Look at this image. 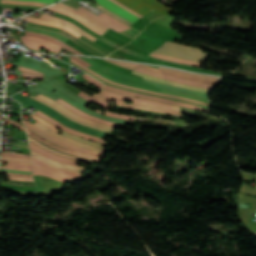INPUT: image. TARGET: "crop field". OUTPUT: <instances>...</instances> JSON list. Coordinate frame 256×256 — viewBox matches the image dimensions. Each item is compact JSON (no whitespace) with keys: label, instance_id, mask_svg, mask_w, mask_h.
<instances>
[{"label":"crop field","instance_id":"8a807250","mask_svg":"<svg viewBox=\"0 0 256 256\" xmlns=\"http://www.w3.org/2000/svg\"><path fill=\"white\" fill-rule=\"evenodd\" d=\"M12 98H14L16 100H19V101H22V102H25V103L33 106L34 108H36V109L40 110L41 112L53 117L54 119H56L60 123L72 128V129L79 130V131L85 132L87 134L102 137V138H105V136L108 134V133H105V132H101V131H98V130H95V129H92V128H89V127H85V126L76 124V123L68 120L67 118H65L61 114H59L57 111L39 103V102H37L33 99H30L27 96L16 94V95L12 96Z\"/></svg>","mask_w":256,"mask_h":256},{"label":"crop field","instance_id":"ac0d7876","mask_svg":"<svg viewBox=\"0 0 256 256\" xmlns=\"http://www.w3.org/2000/svg\"><path fill=\"white\" fill-rule=\"evenodd\" d=\"M154 53L168 55L172 57L204 62L209 56L208 53L190 47L180 46L166 41L161 47L153 51Z\"/></svg>","mask_w":256,"mask_h":256},{"label":"crop field","instance_id":"34b2d1b8","mask_svg":"<svg viewBox=\"0 0 256 256\" xmlns=\"http://www.w3.org/2000/svg\"><path fill=\"white\" fill-rule=\"evenodd\" d=\"M47 9H51V10L57 11L59 13L68 15V16L78 20L79 22H81L82 24H84L85 26H87L88 28L92 29L93 31H95L96 33H98L100 35L108 29V27H106V26L96 22L94 19L86 16L87 14L85 15L81 11L74 9L73 7L65 6L61 3H58V4L51 6Z\"/></svg>","mask_w":256,"mask_h":256},{"label":"crop field","instance_id":"412701ff","mask_svg":"<svg viewBox=\"0 0 256 256\" xmlns=\"http://www.w3.org/2000/svg\"><path fill=\"white\" fill-rule=\"evenodd\" d=\"M140 15H145L151 9L165 15L172 9L157 2L156 0H117Z\"/></svg>","mask_w":256,"mask_h":256},{"label":"crop field","instance_id":"f4fd0767","mask_svg":"<svg viewBox=\"0 0 256 256\" xmlns=\"http://www.w3.org/2000/svg\"><path fill=\"white\" fill-rule=\"evenodd\" d=\"M93 97H97V98H99L103 101L110 102V103L115 101V102H117L118 106L141 109V110H147V111H153V112H159V113H165V114H171V115L182 117L181 112L176 111V110L154 107V106H148V105L137 104V103L127 104V103H124L123 99H119V98L112 97V96H109V95H105V94H102V93H100L99 95L94 94Z\"/></svg>","mask_w":256,"mask_h":256},{"label":"crop field","instance_id":"dd49c442","mask_svg":"<svg viewBox=\"0 0 256 256\" xmlns=\"http://www.w3.org/2000/svg\"><path fill=\"white\" fill-rule=\"evenodd\" d=\"M78 9H80L82 12H84L85 14H87L88 16L94 18L95 20L101 22L102 24L110 27L111 29L121 33L127 29H129L130 27L114 20L113 18L105 15V14H100L99 16L93 14L92 12L88 11L87 9L83 8V7H79Z\"/></svg>","mask_w":256,"mask_h":256},{"label":"crop field","instance_id":"e52e79f7","mask_svg":"<svg viewBox=\"0 0 256 256\" xmlns=\"http://www.w3.org/2000/svg\"><path fill=\"white\" fill-rule=\"evenodd\" d=\"M23 120V119H22ZM24 122V125L31 128L32 130H34L36 133H38L39 135L43 136L44 138L58 144V145H62V146H65V147H68L70 149H73V150H76V151H80V152H84V153H88V154H92V155H96V156H102V154H99V153H95V152H92V151H89V150H86V149H82V148H79V147H76V146H73L71 144H68V143H65V142H62L52 136H50L49 134L45 133L44 131H42L41 129H39L38 127L34 126L33 124L23 120Z\"/></svg>","mask_w":256,"mask_h":256},{"label":"crop field","instance_id":"d8731c3e","mask_svg":"<svg viewBox=\"0 0 256 256\" xmlns=\"http://www.w3.org/2000/svg\"><path fill=\"white\" fill-rule=\"evenodd\" d=\"M104 88L109 89V90H113V91H116V92L124 93V94H127V95H131V96L142 97V98H146V99H151V100L160 101V102H164V103H168V104L183 106V107H187V108H191V109H195V110H200V111H205V112L208 111V110H205V109L200 108V107L195 106V105L183 104V103H179V102H175V101H169V100L155 98V97H151V96H147V95L137 94V93L117 89V88H114V87H111V86H108V85H105Z\"/></svg>","mask_w":256,"mask_h":256},{"label":"crop field","instance_id":"5a996713","mask_svg":"<svg viewBox=\"0 0 256 256\" xmlns=\"http://www.w3.org/2000/svg\"><path fill=\"white\" fill-rule=\"evenodd\" d=\"M94 1H96L98 4L104 6L105 8L109 9L113 13L117 14L118 16L132 23L136 22L139 19L109 0H94Z\"/></svg>","mask_w":256,"mask_h":256},{"label":"crop field","instance_id":"3316defc","mask_svg":"<svg viewBox=\"0 0 256 256\" xmlns=\"http://www.w3.org/2000/svg\"><path fill=\"white\" fill-rule=\"evenodd\" d=\"M36 97H38V98H40V99H42V100H44V101H46V102H48V103H50V104H52V105H54V106L60 108V109L63 110L65 113H67L68 115H70L71 117H73V118H75V119H78V120H80V121H83V122L92 124V125L97 126V127H100V128L108 129V130H111V131H112V129H113V127H110V126H107V125H104V124H100V123L91 121V120L86 119V118H83V117H81V116H79V115H77V114H75V113H72V112H70L71 110L69 111V110L66 109L64 106H62V105L56 103L55 101H53V100H51V99H49V98H47V97H45V96H43V95H41V94L37 95ZM63 111H62V112H63Z\"/></svg>","mask_w":256,"mask_h":256},{"label":"crop field","instance_id":"28ad6ade","mask_svg":"<svg viewBox=\"0 0 256 256\" xmlns=\"http://www.w3.org/2000/svg\"><path fill=\"white\" fill-rule=\"evenodd\" d=\"M26 131H27V134L48 144L49 146L55 148V149H58V150H61V151H64V152H67L69 154H72L74 156H78V157H82V158H86V159H90V160H96V161H99V159L97 157H93V156H90V155H86V154H83V153H80V152H76V151H73V150H70L68 148H65V147H62V146H58V145H55L49 141H47L46 139L42 138L41 136H39L38 134H36L34 131L26 128Z\"/></svg>","mask_w":256,"mask_h":256},{"label":"crop field","instance_id":"d1516ede","mask_svg":"<svg viewBox=\"0 0 256 256\" xmlns=\"http://www.w3.org/2000/svg\"><path fill=\"white\" fill-rule=\"evenodd\" d=\"M133 65L142 67V68L150 70V71L162 73V74H165V75H168V76H172V77H176V78H180V79H184V80H189V81H193V82L204 83V84H211V85H215L217 83L216 81H210V80H204V79H198V78H192V77H186V76L174 74V73L163 71V70H159V69L147 66V65H141V64H133Z\"/></svg>","mask_w":256,"mask_h":256},{"label":"crop field","instance_id":"22f410ed","mask_svg":"<svg viewBox=\"0 0 256 256\" xmlns=\"http://www.w3.org/2000/svg\"><path fill=\"white\" fill-rule=\"evenodd\" d=\"M34 114H36V115H38V116H40V117H42V118L48 120L49 122H51V123L54 124L55 126H57V127L61 128V129L65 130V131H67V132H69V133H71V134H73V135L80 136V137H84V138L91 139V140L98 141V142H101V143L105 144L104 141H103V139L97 138V137H93V136H90V135H87V134H84V133H80V132H77V131H74V130H71V129H69V128L63 126V125L60 124L59 122H57V121H55V120L49 118L48 116H46L45 114L41 113V112L38 111V110H37Z\"/></svg>","mask_w":256,"mask_h":256},{"label":"crop field","instance_id":"cbeb9de0","mask_svg":"<svg viewBox=\"0 0 256 256\" xmlns=\"http://www.w3.org/2000/svg\"><path fill=\"white\" fill-rule=\"evenodd\" d=\"M31 123L35 124L36 126H38L39 128H41L42 130L48 132L49 134L55 136L56 138L60 139V140H63V141H66L68 143H72L76 146H80V147H83V148H86V149H89V150H93V151H99L101 153H103L104 150H101V149H98V148H95V147H92L90 145H87V144H82V143H78L76 141H73L71 139H68V138H65L59 134H57L56 132L52 131L51 129H49L48 127L36 122V121H31Z\"/></svg>","mask_w":256,"mask_h":256},{"label":"crop field","instance_id":"5142ce71","mask_svg":"<svg viewBox=\"0 0 256 256\" xmlns=\"http://www.w3.org/2000/svg\"><path fill=\"white\" fill-rule=\"evenodd\" d=\"M30 149L49 158V159H52V160H55V161H59V162H62V163H65V164H68V165H72V166H76V167H81V166H78L76 165V161H73V160H70V159H67V158H64V157H60V156H56V155H53L43 149H41L40 147L30 143ZM82 168H85V167H82Z\"/></svg>","mask_w":256,"mask_h":256},{"label":"crop field","instance_id":"d9b57169","mask_svg":"<svg viewBox=\"0 0 256 256\" xmlns=\"http://www.w3.org/2000/svg\"><path fill=\"white\" fill-rule=\"evenodd\" d=\"M135 71L144 73V74H148V75H152L155 77H159L162 79H166V80H170V81H174V82H178V83H183V84H189V85H194V86H199V87H203V88H207V89H211L213 86L211 85H204V84H198V83H193V82H189V81H184V80H180V79H176V78H172V77H168L165 75H161V74H157V73H153L144 69H140V68H136Z\"/></svg>","mask_w":256,"mask_h":256},{"label":"crop field","instance_id":"733c2abd","mask_svg":"<svg viewBox=\"0 0 256 256\" xmlns=\"http://www.w3.org/2000/svg\"><path fill=\"white\" fill-rule=\"evenodd\" d=\"M101 92H103L105 94L112 95V96H116V97H119V98H123V99H126V100H130V101H133V102L153 104V105H157V106H161V107H166V108H172V109H176V110L180 111V107H178V106H172V105H167V104H162V103H157V102L137 99V98H133V97L123 96V95H119V94L108 92V91H104V90H102Z\"/></svg>","mask_w":256,"mask_h":256},{"label":"crop field","instance_id":"4a817a6b","mask_svg":"<svg viewBox=\"0 0 256 256\" xmlns=\"http://www.w3.org/2000/svg\"><path fill=\"white\" fill-rule=\"evenodd\" d=\"M132 73L136 74V75H139V76H143V78H146V79L158 82V83L166 84V85L187 88V89H191V90H195V91H199V92H203V93H207V91H208V90H205V89L194 88V87H190V86H186V85H182V84H178V83L162 80V79H159V78H155V77H152V76L144 75V74L137 73V72H134V71Z\"/></svg>","mask_w":256,"mask_h":256},{"label":"crop field","instance_id":"bc2a9ffb","mask_svg":"<svg viewBox=\"0 0 256 256\" xmlns=\"http://www.w3.org/2000/svg\"><path fill=\"white\" fill-rule=\"evenodd\" d=\"M28 139H29L31 142L35 143L36 145H38V146H40V147H42V148H44V149H46V150H48V151H50V152L56 154V155L64 156V157H67V158H70V159H73V160H77V161H82V162L90 161V160H86V159L74 157V156L69 155V154H67V153H64V152L55 150V149H53V148H51V147L45 145L44 143H42V142H40V141H38V140H36V139L30 137V136H28ZM90 162H92V161H90Z\"/></svg>","mask_w":256,"mask_h":256},{"label":"crop field","instance_id":"214f88e0","mask_svg":"<svg viewBox=\"0 0 256 256\" xmlns=\"http://www.w3.org/2000/svg\"><path fill=\"white\" fill-rule=\"evenodd\" d=\"M23 20L30 21V22L41 23V24H46V25H52V26H55V27H58V28H62V29L67 30L68 32H70L71 34H73L74 36H76L78 38L82 36L79 33H77L75 30H73L72 28L64 26V25H61V24H57V23L41 20V19H38V18H35V17H31V16H28V17H26Z\"/></svg>","mask_w":256,"mask_h":256},{"label":"crop field","instance_id":"92a150f3","mask_svg":"<svg viewBox=\"0 0 256 256\" xmlns=\"http://www.w3.org/2000/svg\"><path fill=\"white\" fill-rule=\"evenodd\" d=\"M70 61L74 62L75 64L79 65L80 67L84 68L85 70L89 71L90 73L94 74L95 76H97V77H99V78H101V79H104V80H106V81H108V82H110V83H112V84H114V85L122 86V87H126V88H130V89H134V90H139V91L154 93V92H150V91H145V90H141V89H137V88H133V87H128V86L120 85V84H118V83L109 81V80H107V79H105V78H103V77H101V76L95 74V73L92 72L90 69H88V68H86V67L80 65L79 63L75 62L74 60L71 59ZM154 94L169 96V97H173V98H177V99H181V100H185V101H189V102H193V103H197V104H203V103H204V102H203V103H199V102H195V101H192V100H188V99H184V98H180V97H176V96H171V95H166V94H160V93H154ZM207 104H208V103H207ZM207 104H203V105H207ZM208 106H209V105H208Z\"/></svg>","mask_w":256,"mask_h":256},{"label":"crop field","instance_id":"dafd665d","mask_svg":"<svg viewBox=\"0 0 256 256\" xmlns=\"http://www.w3.org/2000/svg\"><path fill=\"white\" fill-rule=\"evenodd\" d=\"M31 155L33 157H35V158H37V159L47 163V164L53 166V167H57V168H61V169H67V170H72V171H76V172H79V173H81L83 171V169H80V168H76V167H72V166H68V165H64V164H59V163H57L55 161L46 159V158H44V157H42L40 155H37V154H35L33 152H31Z\"/></svg>","mask_w":256,"mask_h":256},{"label":"crop field","instance_id":"00972430","mask_svg":"<svg viewBox=\"0 0 256 256\" xmlns=\"http://www.w3.org/2000/svg\"><path fill=\"white\" fill-rule=\"evenodd\" d=\"M32 161H33V165H35V166H39V167H42V168H45V169L63 174V175L68 176L70 178L80 176V174L74 173L72 171H65V170L53 168V167H51V166H49L45 163H42V162L38 161L37 159H35L33 157H32Z\"/></svg>","mask_w":256,"mask_h":256},{"label":"crop field","instance_id":"a9b5d70f","mask_svg":"<svg viewBox=\"0 0 256 256\" xmlns=\"http://www.w3.org/2000/svg\"><path fill=\"white\" fill-rule=\"evenodd\" d=\"M40 18H43V19H47V20H51V21H55V22H59V23H62L64 25H68L70 27H72L73 29H75L77 32L81 33L82 35H84L85 37L91 39V40H96V38H94L93 36H91L90 34L86 33L85 31H83L82 29H80L79 27L75 26L74 24L70 23V22H67L65 20H61V19H57V18H54V17H51L49 15H45V14H42Z\"/></svg>","mask_w":256,"mask_h":256},{"label":"crop field","instance_id":"4177f3b9","mask_svg":"<svg viewBox=\"0 0 256 256\" xmlns=\"http://www.w3.org/2000/svg\"><path fill=\"white\" fill-rule=\"evenodd\" d=\"M25 34L28 35V36H32V37L47 39V40H49V41H51V42H54V43H56V44H58V45L64 47L65 49H67V50L73 52L74 54H81V53H79L78 51H76L75 49H73L72 47H70V46H68V45H66V44H64V43H62V42H60V41H58V40H56V39H53V38H51V37H48V36H46V35L37 34V33H33V32H28V31H25Z\"/></svg>","mask_w":256,"mask_h":256},{"label":"crop field","instance_id":"730fd06b","mask_svg":"<svg viewBox=\"0 0 256 256\" xmlns=\"http://www.w3.org/2000/svg\"><path fill=\"white\" fill-rule=\"evenodd\" d=\"M33 175H46L48 177L55 178V179L60 180L62 182L70 179L68 177H65V176H62V175H59V174H56V173L38 168V167H34V166H33Z\"/></svg>","mask_w":256,"mask_h":256},{"label":"crop field","instance_id":"eef30255","mask_svg":"<svg viewBox=\"0 0 256 256\" xmlns=\"http://www.w3.org/2000/svg\"><path fill=\"white\" fill-rule=\"evenodd\" d=\"M150 57L160 59V60H166V61H171V62H177V63H183V64H190V65H196L199 66L200 63L198 62H192V61H187V60H181V59H176V58H171L167 56H162L158 54L151 53Z\"/></svg>","mask_w":256,"mask_h":256},{"label":"crop field","instance_id":"ae1a2a85","mask_svg":"<svg viewBox=\"0 0 256 256\" xmlns=\"http://www.w3.org/2000/svg\"><path fill=\"white\" fill-rule=\"evenodd\" d=\"M0 168L12 169V170H21V171H31V165L11 163V162H8L6 167L0 166Z\"/></svg>","mask_w":256,"mask_h":256},{"label":"crop field","instance_id":"d3111659","mask_svg":"<svg viewBox=\"0 0 256 256\" xmlns=\"http://www.w3.org/2000/svg\"><path fill=\"white\" fill-rule=\"evenodd\" d=\"M26 30L28 31H33V32H39V33H44V34H48L54 38H57L63 42H65L66 40H68V38L60 35V34H57V33H54V32H51V31H48V30H43V29H36V28H29V27H26Z\"/></svg>","mask_w":256,"mask_h":256},{"label":"crop field","instance_id":"750c4746","mask_svg":"<svg viewBox=\"0 0 256 256\" xmlns=\"http://www.w3.org/2000/svg\"><path fill=\"white\" fill-rule=\"evenodd\" d=\"M69 64H72V65H74V66L80 68L79 66L75 65L74 63H72V62H70V61H69ZM80 69L83 70V71H85V70L82 69V68H80ZM85 72L88 73L89 75L95 77L94 75L90 74L89 72H87V71H85ZM95 78H97V77H95ZM97 79H99V78H97ZM99 80H100L101 82L105 83V84L111 85V84H109V83H107V82H105V81H103V80H101V79H99ZM112 86H113V85H112ZM116 87H117V86H116ZM119 88H121V87H119ZM123 89H125V88H123ZM126 90H129V89H126ZM129 91H133V92H137V93H143V94H148V95H153V96H158V97H163V98H168V97H164V96H159V95H154V94H149V93H144V92H139V91H134V90H129ZM168 99H172V98H168ZM172 100H176V99H172ZM176 101H180V100H176ZM181 102H184V101H181ZM187 103H188V102H187ZM191 104H193V103H191ZM195 105H197V104H195ZM198 106L204 107V108H207V109L209 108L208 106H203V105H198Z\"/></svg>","mask_w":256,"mask_h":256},{"label":"crop field","instance_id":"bd1437ed","mask_svg":"<svg viewBox=\"0 0 256 256\" xmlns=\"http://www.w3.org/2000/svg\"><path fill=\"white\" fill-rule=\"evenodd\" d=\"M1 3L24 4V5L40 6V7L48 5V4L38 3V2H27V1H17V0H2Z\"/></svg>","mask_w":256,"mask_h":256},{"label":"crop field","instance_id":"1d83c4d3","mask_svg":"<svg viewBox=\"0 0 256 256\" xmlns=\"http://www.w3.org/2000/svg\"><path fill=\"white\" fill-rule=\"evenodd\" d=\"M159 68L163 69V70H167V71H171V72L187 75V76H192V77H198V78H204V79H210V80L219 81V78L200 76V75H196V74H192V73H187V72H183V71H178V70H174V69H167V68H161V67H159Z\"/></svg>","mask_w":256,"mask_h":256},{"label":"crop field","instance_id":"120bbe31","mask_svg":"<svg viewBox=\"0 0 256 256\" xmlns=\"http://www.w3.org/2000/svg\"><path fill=\"white\" fill-rule=\"evenodd\" d=\"M29 97H31V98H33V99H35V100H37V101H40V102H42V103H44V104H46V105H48V106L54 108L55 110L59 111V110H58L57 108H55L54 106H51V105L45 103L44 101H42V100H40V99H37V98H35V97L31 96V95H30ZM59 112H60L61 114H63L65 117H67V118H69L70 120H72V121H74V122H77V123H79V124H82V125H85V126H89V127L95 128V129H99V130H102V131H105V132H109V133L111 132V131H108V130H103V129H100V128H97V127H94V126H91V125H88V124H85V123H82V122H80V121L74 120V119H72L71 117H69L68 115L62 113L61 111H59Z\"/></svg>","mask_w":256,"mask_h":256},{"label":"crop field","instance_id":"d32e631a","mask_svg":"<svg viewBox=\"0 0 256 256\" xmlns=\"http://www.w3.org/2000/svg\"><path fill=\"white\" fill-rule=\"evenodd\" d=\"M62 135L66 136L68 138H71V139H75V140L90 144V145L98 147V148L104 149L103 145H100V144H97V143H94V142H91V141H88V140H85V139H82V138H79V137H76V136H73V135H69V134H66L64 132H62Z\"/></svg>","mask_w":256,"mask_h":256},{"label":"crop field","instance_id":"5866460e","mask_svg":"<svg viewBox=\"0 0 256 256\" xmlns=\"http://www.w3.org/2000/svg\"><path fill=\"white\" fill-rule=\"evenodd\" d=\"M1 160L11 161V162H19V163H31V160L20 159V158H12V157H4V156H1Z\"/></svg>","mask_w":256,"mask_h":256},{"label":"crop field","instance_id":"028f5c9d","mask_svg":"<svg viewBox=\"0 0 256 256\" xmlns=\"http://www.w3.org/2000/svg\"><path fill=\"white\" fill-rule=\"evenodd\" d=\"M82 77L86 78L88 81H90L93 85H95L96 87L102 89L103 84L95 79H93L92 77L88 76V75H83Z\"/></svg>","mask_w":256,"mask_h":256},{"label":"crop field","instance_id":"e1f06a70","mask_svg":"<svg viewBox=\"0 0 256 256\" xmlns=\"http://www.w3.org/2000/svg\"><path fill=\"white\" fill-rule=\"evenodd\" d=\"M8 180H15V181H33L30 177H17V176H8Z\"/></svg>","mask_w":256,"mask_h":256},{"label":"crop field","instance_id":"0bd39190","mask_svg":"<svg viewBox=\"0 0 256 256\" xmlns=\"http://www.w3.org/2000/svg\"><path fill=\"white\" fill-rule=\"evenodd\" d=\"M97 8H99V9L103 10L105 13H107V14H109V15H111V16H113V17H115L116 19H118V20H120V21H122V22L126 23L127 25H130V24H131V23H129V22H127V21H125V20L121 19L120 17H118V16H116V15L112 14L111 12H109V11L105 10V9H104L102 6H100V5H98V6H97Z\"/></svg>","mask_w":256,"mask_h":256},{"label":"crop field","instance_id":"b80d0937","mask_svg":"<svg viewBox=\"0 0 256 256\" xmlns=\"http://www.w3.org/2000/svg\"><path fill=\"white\" fill-rule=\"evenodd\" d=\"M30 117L36 119L38 122H40V123H42V124H44V125L50 127L51 129H53V130L56 131V132H58L57 129H56V127L52 126L51 124L47 123L46 121H44V120H42V119H40V118H38V117H36V116H34V115H31Z\"/></svg>","mask_w":256,"mask_h":256},{"label":"crop field","instance_id":"c035e120","mask_svg":"<svg viewBox=\"0 0 256 256\" xmlns=\"http://www.w3.org/2000/svg\"><path fill=\"white\" fill-rule=\"evenodd\" d=\"M4 120L7 121V122L12 123L13 125L17 126V127L20 128L21 130L25 131V130H24V126H23L22 124H20V123L14 121V120H11V119H9V118H7V117H5Z\"/></svg>","mask_w":256,"mask_h":256},{"label":"crop field","instance_id":"c21b1889","mask_svg":"<svg viewBox=\"0 0 256 256\" xmlns=\"http://www.w3.org/2000/svg\"><path fill=\"white\" fill-rule=\"evenodd\" d=\"M2 155L14 156V157H21V158L30 159V157H29L28 155H24V154L2 153Z\"/></svg>","mask_w":256,"mask_h":256},{"label":"crop field","instance_id":"03da06ac","mask_svg":"<svg viewBox=\"0 0 256 256\" xmlns=\"http://www.w3.org/2000/svg\"><path fill=\"white\" fill-rule=\"evenodd\" d=\"M111 1H113V2L116 3V4H118V5L121 6L122 8L126 9V10L129 11L130 13H132V14H134V15L140 17V18L142 17V16L136 14L135 12L131 11V10L128 9L127 7L123 6L122 4L118 3L117 1H115V0H111Z\"/></svg>","mask_w":256,"mask_h":256},{"label":"crop field","instance_id":"b54c1fbb","mask_svg":"<svg viewBox=\"0 0 256 256\" xmlns=\"http://www.w3.org/2000/svg\"><path fill=\"white\" fill-rule=\"evenodd\" d=\"M69 57H71L72 59L76 60L77 62H79L80 64H82L86 67L91 66V65L87 64L86 62L82 61L81 59H79L78 57H72V56H69Z\"/></svg>","mask_w":256,"mask_h":256},{"label":"crop field","instance_id":"5d738f31","mask_svg":"<svg viewBox=\"0 0 256 256\" xmlns=\"http://www.w3.org/2000/svg\"><path fill=\"white\" fill-rule=\"evenodd\" d=\"M27 1H38V2H44V3L51 4V3H54L58 0H27Z\"/></svg>","mask_w":256,"mask_h":256},{"label":"crop field","instance_id":"d23c7cc5","mask_svg":"<svg viewBox=\"0 0 256 256\" xmlns=\"http://www.w3.org/2000/svg\"><path fill=\"white\" fill-rule=\"evenodd\" d=\"M1 172V171H0ZM7 175H18V176H31V175H25V174H16V173H8V172H1Z\"/></svg>","mask_w":256,"mask_h":256}]
</instances>
